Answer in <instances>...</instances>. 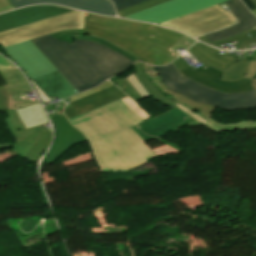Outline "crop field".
I'll return each instance as SVG.
<instances>
[{
  "instance_id": "crop-field-1",
  "label": "crop field",
  "mask_w": 256,
  "mask_h": 256,
  "mask_svg": "<svg viewBox=\"0 0 256 256\" xmlns=\"http://www.w3.org/2000/svg\"><path fill=\"white\" fill-rule=\"evenodd\" d=\"M141 120L117 100L69 121L87 136L101 171H127L156 157L154 151L128 127Z\"/></svg>"
},
{
  "instance_id": "crop-field-2",
  "label": "crop field",
  "mask_w": 256,
  "mask_h": 256,
  "mask_svg": "<svg viewBox=\"0 0 256 256\" xmlns=\"http://www.w3.org/2000/svg\"><path fill=\"white\" fill-rule=\"evenodd\" d=\"M79 91L97 86L103 80L126 70L128 58L94 42L75 40L68 44L47 35L31 40Z\"/></svg>"
},
{
  "instance_id": "crop-field-3",
  "label": "crop field",
  "mask_w": 256,
  "mask_h": 256,
  "mask_svg": "<svg viewBox=\"0 0 256 256\" xmlns=\"http://www.w3.org/2000/svg\"><path fill=\"white\" fill-rule=\"evenodd\" d=\"M84 33L100 36L153 65H166L179 55L171 50L190 47L195 40L151 24L85 13ZM153 36V37H151Z\"/></svg>"
},
{
  "instance_id": "crop-field-4",
  "label": "crop field",
  "mask_w": 256,
  "mask_h": 256,
  "mask_svg": "<svg viewBox=\"0 0 256 256\" xmlns=\"http://www.w3.org/2000/svg\"><path fill=\"white\" fill-rule=\"evenodd\" d=\"M134 66L137 70L134 75L131 73L126 78L111 82L120 87L135 101L151 96L157 102L164 104L165 106L171 107L172 109L175 107L179 108L189 116L193 117L195 121L211 130L214 125L224 128L232 127V131L256 129V121L228 125L214 121L210 117L216 107L195 102L169 90L163 85L154 67L141 62H136ZM251 82L256 89V79H251Z\"/></svg>"
},
{
  "instance_id": "crop-field-5",
  "label": "crop field",
  "mask_w": 256,
  "mask_h": 256,
  "mask_svg": "<svg viewBox=\"0 0 256 256\" xmlns=\"http://www.w3.org/2000/svg\"><path fill=\"white\" fill-rule=\"evenodd\" d=\"M219 2H227L232 7V14L238 19L239 23L228 29L205 35L210 42L230 38L256 26V17L240 0H173L129 15L127 18L160 24L176 17L202 10Z\"/></svg>"
},
{
  "instance_id": "crop-field-6",
  "label": "crop field",
  "mask_w": 256,
  "mask_h": 256,
  "mask_svg": "<svg viewBox=\"0 0 256 256\" xmlns=\"http://www.w3.org/2000/svg\"><path fill=\"white\" fill-rule=\"evenodd\" d=\"M5 122L16 140L14 151L36 162L51 139V132L42 126L48 120L40 103L18 110H7Z\"/></svg>"
},
{
  "instance_id": "crop-field-7",
  "label": "crop field",
  "mask_w": 256,
  "mask_h": 256,
  "mask_svg": "<svg viewBox=\"0 0 256 256\" xmlns=\"http://www.w3.org/2000/svg\"><path fill=\"white\" fill-rule=\"evenodd\" d=\"M155 68L165 86L195 101L214 105L222 109H238L256 106L255 89L246 93L235 94L217 92L184 77L173 64Z\"/></svg>"
},
{
  "instance_id": "crop-field-8",
  "label": "crop field",
  "mask_w": 256,
  "mask_h": 256,
  "mask_svg": "<svg viewBox=\"0 0 256 256\" xmlns=\"http://www.w3.org/2000/svg\"><path fill=\"white\" fill-rule=\"evenodd\" d=\"M83 16L84 13L75 11L1 32L0 44L5 47L61 30L83 29Z\"/></svg>"
},
{
  "instance_id": "crop-field-9",
  "label": "crop field",
  "mask_w": 256,
  "mask_h": 256,
  "mask_svg": "<svg viewBox=\"0 0 256 256\" xmlns=\"http://www.w3.org/2000/svg\"><path fill=\"white\" fill-rule=\"evenodd\" d=\"M183 19V20H181ZM236 20L217 4L202 11L188 14L160 25L175 28L192 36L219 30L233 25Z\"/></svg>"
},
{
  "instance_id": "crop-field-10",
  "label": "crop field",
  "mask_w": 256,
  "mask_h": 256,
  "mask_svg": "<svg viewBox=\"0 0 256 256\" xmlns=\"http://www.w3.org/2000/svg\"><path fill=\"white\" fill-rule=\"evenodd\" d=\"M178 70L186 77L209 86L217 91L227 93L246 92L253 89L250 79H243L241 81L228 82L221 80L222 72L210 68L203 64L193 70L191 65L187 64L183 58H178L172 62Z\"/></svg>"
},
{
  "instance_id": "crop-field-11",
  "label": "crop field",
  "mask_w": 256,
  "mask_h": 256,
  "mask_svg": "<svg viewBox=\"0 0 256 256\" xmlns=\"http://www.w3.org/2000/svg\"><path fill=\"white\" fill-rule=\"evenodd\" d=\"M3 49L25 71L28 78L34 79L57 71V68L30 40Z\"/></svg>"
},
{
  "instance_id": "crop-field-12",
  "label": "crop field",
  "mask_w": 256,
  "mask_h": 256,
  "mask_svg": "<svg viewBox=\"0 0 256 256\" xmlns=\"http://www.w3.org/2000/svg\"><path fill=\"white\" fill-rule=\"evenodd\" d=\"M71 11L75 10L53 5H44L28 7L21 10L2 14L0 15V32L31 22L68 13Z\"/></svg>"
},
{
  "instance_id": "crop-field-13",
  "label": "crop field",
  "mask_w": 256,
  "mask_h": 256,
  "mask_svg": "<svg viewBox=\"0 0 256 256\" xmlns=\"http://www.w3.org/2000/svg\"><path fill=\"white\" fill-rule=\"evenodd\" d=\"M51 118L56 128V141L50 149L46 164L54 162L74 144L86 140L85 136L73 127L63 114Z\"/></svg>"
},
{
  "instance_id": "crop-field-14",
  "label": "crop field",
  "mask_w": 256,
  "mask_h": 256,
  "mask_svg": "<svg viewBox=\"0 0 256 256\" xmlns=\"http://www.w3.org/2000/svg\"><path fill=\"white\" fill-rule=\"evenodd\" d=\"M14 8L37 3H57L99 14L115 16L113 4L108 0H10Z\"/></svg>"
},
{
  "instance_id": "crop-field-15",
  "label": "crop field",
  "mask_w": 256,
  "mask_h": 256,
  "mask_svg": "<svg viewBox=\"0 0 256 256\" xmlns=\"http://www.w3.org/2000/svg\"><path fill=\"white\" fill-rule=\"evenodd\" d=\"M0 77L6 84L8 109H14L13 104L27 102V99L21 93L30 92L32 90L17 68L0 72ZM22 98L25 99L23 100Z\"/></svg>"
},
{
  "instance_id": "crop-field-16",
  "label": "crop field",
  "mask_w": 256,
  "mask_h": 256,
  "mask_svg": "<svg viewBox=\"0 0 256 256\" xmlns=\"http://www.w3.org/2000/svg\"><path fill=\"white\" fill-rule=\"evenodd\" d=\"M47 95L57 97L60 100L70 95L79 93L64 77L57 71L33 80Z\"/></svg>"
},
{
  "instance_id": "crop-field-17",
  "label": "crop field",
  "mask_w": 256,
  "mask_h": 256,
  "mask_svg": "<svg viewBox=\"0 0 256 256\" xmlns=\"http://www.w3.org/2000/svg\"><path fill=\"white\" fill-rule=\"evenodd\" d=\"M188 51L191 52L193 56L198 60L221 71L226 70L232 64L237 62L236 56L219 55L217 50L201 44L200 42L193 45Z\"/></svg>"
},
{
  "instance_id": "crop-field-18",
  "label": "crop field",
  "mask_w": 256,
  "mask_h": 256,
  "mask_svg": "<svg viewBox=\"0 0 256 256\" xmlns=\"http://www.w3.org/2000/svg\"><path fill=\"white\" fill-rule=\"evenodd\" d=\"M50 35H52L56 39L63 40V41H65L68 37L74 38V39H85V40L95 41L97 43L103 44V45H105V46H107V47L125 55L126 57H128L132 61L139 60L132 53H130V52L124 50V49H121V48L103 40L100 37L83 34V30H66V31L53 33V34H50Z\"/></svg>"
},
{
  "instance_id": "crop-field-19",
  "label": "crop field",
  "mask_w": 256,
  "mask_h": 256,
  "mask_svg": "<svg viewBox=\"0 0 256 256\" xmlns=\"http://www.w3.org/2000/svg\"><path fill=\"white\" fill-rule=\"evenodd\" d=\"M250 61L238 62L223 72L222 79L234 81L243 79Z\"/></svg>"
},
{
  "instance_id": "crop-field-20",
  "label": "crop field",
  "mask_w": 256,
  "mask_h": 256,
  "mask_svg": "<svg viewBox=\"0 0 256 256\" xmlns=\"http://www.w3.org/2000/svg\"><path fill=\"white\" fill-rule=\"evenodd\" d=\"M167 1H170V0H149V1H146L143 3L131 6L129 8L120 10L117 12V14L124 17L126 15L138 12L140 10H143V9H146V8H149V7H152V6L167 2Z\"/></svg>"
},
{
  "instance_id": "crop-field-21",
  "label": "crop field",
  "mask_w": 256,
  "mask_h": 256,
  "mask_svg": "<svg viewBox=\"0 0 256 256\" xmlns=\"http://www.w3.org/2000/svg\"><path fill=\"white\" fill-rule=\"evenodd\" d=\"M254 30H256V29L254 28V29H252V30H250V31H246V32H244V33H242V34H239V35H237V36H234V37H232V38H230V39L222 40V41H218V42H213V43H210V42L208 41V39L205 38L204 36L198 37L197 39L202 40V41H204V42H206V43H208V44H210V45H212V46H219V45L234 43V42H236V41H238V40H240V39H243V38H245V37H248L247 34L253 32Z\"/></svg>"
},
{
  "instance_id": "crop-field-22",
  "label": "crop field",
  "mask_w": 256,
  "mask_h": 256,
  "mask_svg": "<svg viewBox=\"0 0 256 256\" xmlns=\"http://www.w3.org/2000/svg\"><path fill=\"white\" fill-rule=\"evenodd\" d=\"M130 109H132L138 116H140L143 120L148 116L146 112H144L140 107H138L132 100L128 97L121 99Z\"/></svg>"
},
{
  "instance_id": "crop-field-23",
  "label": "crop field",
  "mask_w": 256,
  "mask_h": 256,
  "mask_svg": "<svg viewBox=\"0 0 256 256\" xmlns=\"http://www.w3.org/2000/svg\"><path fill=\"white\" fill-rule=\"evenodd\" d=\"M116 6V10H120L131 5L146 1V0H112Z\"/></svg>"
},
{
  "instance_id": "crop-field-24",
  "label": "crop field",
  "mask_w": 256,
  "mask_h": 256,
  "mask_svg": "<svg viewBox=\"0 0 256 256\" xmlns=\"http://www.w3.org/2000/svg\"><path fill=\"white\" fill-rule=\"evenodd\" d=\"M7 109V96L5 85L0 86V111H6Z\"/></svg>"
},
{
  "instance_id": "crop-field-25",
  "label": "crop field",
  "mask_w": 256,
  "mask_h": 256,
  "mask_svg": "<svg viewBox=\"0 0 256 256\" xmlns=\"http://www.w3.org/2000/svg\"><path fill=\"white\" fill-rule=\"evenodd\" d=\"M256 74V62L251 60L245 78L253 77Z\"/></svg>"
},
{
  "instance_id": "crop-field-26",
  "label": "crop field",
  "mask_w": 256,
  "mask_h": 256,
  "mask_svg": "<svg viewBox=\"0 0 256 256\" xmlns=\"http://www.w3.org/2000/svg\"><path fill=\"white\" fill-rule=\"evenodd\" d=\"M30 81L32 82L33 86L35 87V89L37 90L39 96L41 97V99L44 101V103L47 102H51L52 100L30 79Z\"/></svg>"
},
{
  "instance_id": "crop-field-27",
  "label": "crop field",
  "mask_w": 256,
  "mask_h": 256,
  "mask_svg": "<svg viewBox=\"0 0 256 256\" xmlns=\"http://www.w3.org/2000/svg\"><path fill=\"white\" fill-rule=\"evenodd\" d=\"M13 6L9 0H0V12L12 9Z\"/></svg>"
},
{
  "instance_id": "crop-field-28",
  "label": "crop field",
  "mask_w": 256,
  "mask_h": 256,
  "mask_svg": "<svg viewBox=\"0 0 256 256\" xmlns=\"http://www.w3.org/2000/svg\"><path fill=\"white\" fill-rule=\"evenodd\" d=\"M11 64L6 59H4L3 57L0 56V70H7V69L14 67Z\"/></svg>"
},
{
  "instance_id": "crop-field-29",
  "label": "crop field",
  "mask_w": 256,
  "mask_h": 256,
  "mask_svg": "<svg viewBox=\"0 0 256 256\" xmlns=\"http://www.w3.org/2000/svg\"><path fill=\"white\" fill-rule=\"evenodd\" d=\"M242 1L248 6V8L251 11L256 9V6L253 4V2L251 0H242Z\"/></svg>"
},
{
  "instance_id": "crop-field-30",
  "label": "crop field",
  "mask_w": 256,
  "mask_h": 256,
  "mask_svg": "<svg viewBox=\"0 0 256 256\" xmlns=\"http://www.w3.org/2000/svg\"><path fill=\"white\" fill-rule=\"evenodd\" d=\"M7 147H12L11 144H3V145H0V149L1 148H7Z\"/></svg>"
},
{
  "instance_id": "crop-field-31",
  "label": "crop field",
  "mask_w": 256,
  "mask_h": 256,
  "mask_svg": "<svg viewBox=\"0 0 256 256\" xmlns=\"http://www.w3.org/2000/svg\"><path fill=\"white\" fill-rule=\"evenodd\" d=\"M254 3H255V5H256V0H252Z\"/></svg>"
},
{
  "instance_id": "crop-field-32",
  "label": "crop field",
  "mask_w": 256,
  "mask_h": 256,
  "mask_svg": "<svg viewBox=\"0 0 256 256\" xmlns=\"http://www.w3.org/2000/svg\"><path fill=\"white\" fill-rule=\"evenodd\" d=\"M253 78H256V76H255V77H253Z\"/></svg>"
}]
</instances>
